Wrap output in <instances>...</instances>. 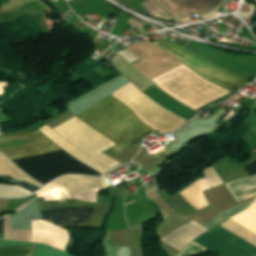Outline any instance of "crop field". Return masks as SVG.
<instances>
[{
    "label": "crop field",
    "instance_id": "12",
    "mask_svg": "<svg viewBox=\"0 0 256 256\" xmlns=\"http://www.w3.org/2000/svg\"><path fill=\"white\" fill-rule=\"evenodd\" d=\"M251 202L243 204L241 206L235 207L233 209L227 210L223 213H221L220 215H218L215 219H213L209 224H207L205 227H207L208 229L214 228L215 226H217L218 224H220L221 222H223L224 220H226L227 218L231 217L232 215L236 214L237 212L245 209L246 207L249 206Z\"/></svg>",
    "mask_w": 256,
    "mask_h": 256
},
{
    "label": "crop field",
    "instance_id": "21",
    "mask_svg": "<svg viewBox=\"0 0 256 256\" xmlns=\"http://www.w3.org/2000/svg\"><path fill=\"white\" fill-rule=\"evenodd\" d=\"M254 201H256V198H255V200Z\"/></svg>",
    "mask_w": 256,
    "mask_h": 256
},
{
    "label": "crop field",
    "instance_id": "6",
    "mask_svg": "<svg viewBox=\"0 0 256 256\" xmlns=\"http://www.w3.org/2000/svg\"><path fill=\"white\" fill-rule=\"evenodd\" d=\"M224 0H160L165 7L180 20H190L187 16L197 12L204 19L213 16L215 8Z\"/></svg>",
    "mask_w": 256,
    "mask_h": 256
},
{
    "label": "crop field",
    "instance_id": "3",
    "mask_svg": "<svg viewBox=\"0 0 256 256\" xmlns=\"http://www.w3.org/2000/svg\"><path fill=\"white\" fill-rule=\"evenodd\" d=\"M150 81L194 110L229 92L203 79L184 64Z\"/></svg>",
    "mask_w": 256,
    "mask_h": 256
},
{
    "label": "crop field",
    "instance_id": "18",
    "mask_svg": "<svg viewBox=\"0 0 256 256\" xmlns=\"http://www.w3.org/2000/svg\"><path fill=\"white\" fill-rule=\"evenodd\" d=\"M5 85V83H0V89L3 88Z\"/></svg>",
    "mask_w": 256,
    "mask_h": 256
},
{
    "label": "crop field",
    "instance_id": "1",
    "mask_svg": "<svg viewBox=\"0 0 256 256\" xmlns=\"http://www.w3.org/2000/svg\"><path fill=\"white\" fill-rule=\"evenodd\" d=\"M59 149L38 130L24 134L0 136V150L10 159ZM13 161L44 185L55 177L67 173L101 176L100 173L80 163L62 150L13 159Z\"/></svg>",
    "mask_w": 256,
    "mask_h": 256
},
{
    "label": "crop field",
    "instance_id": "13",
    "mask_svg": "<svg viewBox=\"0 0 256 256\" xmlns=\"http://www.w3.org/2000/svg\"><path fill=\"white\" fill-rule=\"evenodd\" d=\"M142 5L148 13L161 18L172 20L153 0H148L142 3Z\"/></svg>",
    "mask_w": 256,
    "mask_h": 256
},
{
    "label": "crop field",
    "instance_id": "17",
    "mask_svg": "<svg viewBox=\"0 0 256 256\" xmlns=\"http://www.w3.org/2000/svg\"><path fill=\"white\" fill-rule=\"evenodd\" d=\"M4 218L0 219V232H3Z\"/></svg>",
    "mask_w": 256,
    "mask_h": 256
},
{
    "label": "crop field",
    "instance_id": "7",
    "mask_svg": "<svg viewBox=\"0 0 256 256\" xmlns=\"http://www.w3.org/2000/svg\"><path fill=\"white\" fill-rule=\"evenodd\" d=\"M95 207H54L41 210V219L56 225L87 223Z\"/></svg>",
    "mask_w": 256,
    "mask_h": 256
},
{
    "label": "crop field",
    "instance_id": "4",
    "mask_svg": "<svg viewBox=\"0 0 256 256\" xmlns=\"http://www.w3.org/2000/svg\"><path fill=\"white\" fill-rule=\"evenodd\" d=\"M220 226L256 246V235L234 221L229 219ZM220 226L207 232L194 241L211 250L222 253L237 256H256V247Z\"/></svg>",
    "mask_w": 256,
    "mask_h": 256
},
{
    "label": "crop field",
    "instance_id": "20",
    "mask_svg": "<svg viewBox=\"0 0 256 256\" xmlns=\"http://www.w3.org/2000/svg\"><path fill=\"white\" fill-rule=\"evenodd\" d=\"M2 92H3V91H2V90H0V94H2Z\"/></svg>",
    "mask_w": 256,
    "mask_h": 256
},
{
    "label": "crop field",
    "instance_id": "9",
    "mask_svg": "<svg viewBox=\"0 0 256 256\" xmlns=\"http://www.w3.org/2000/svg\"><path fill=\"white\" fill-rule=\"evenodd\" d=\"M230 219L256 233V202L252 203L246 210L232 216Z\"/></svg>",
    "mask_w": 256,
    "mask_h": 256
},
{
    "label": "crop field",
    "instance_id": "5",
    "mask_svg": "<svg viewBox=\"0 0 256 256\" xmlns=\"http://www.w3.org/2000/svg\"><path fill=\"white\" fill-rule=\"evenodd\" d=\"M153 43L178 58L203 77L223 87H236L246 80L204 59L203 57L193 53L192 51L168 38L153 41Z\"/></svg>",
    "mask_w": 256,
    "mask_h": 256
},
{
    "label": "crop field",
    "instance_id": "10",
    "mask_svg": "<svg viewBox=\"0 0 256 256\" xmlns=\"http://www.w3.org/2000/svg\"><path fill=\"white\" fill-rule=\"evenodd\" d=\"M27 244H35V243L0 240V246L27 245ZM33 256H74V255L62 252L60 250L51 248L49 246L38 244Z\"/></svg>",
    "mask_w": 256,
    "mask_h": 256
},
{
    "label": "crop field",
    "instance_id": "8",
    "mask_svg": "<svg viewBox=\"0 0 256 256\" xmlns=\"http://www.w3.org/2000/svg\"><path fill=\"white\" fill-rule=\"evenodd\" d=\"M237 202L256 195V175L225 183Z\"/></svg>",
    "mask_w": 256,
    "mask_h": 256
},
{
    "label": "crop field",
    "instance_id": "11",
    "mask_svg": "<svg viewBox=\"0 0 256 256\" xmlns=\"http://www.w3.org/2000/svg\"><path fill=\"white\" fill-rule=\"evenodd\" d=\"M36 245L0 247V256H32Z\"/></svg>",
    "mask_w": 256,
    "mask_h": 256
},
{
    "label": "crop field",
    "instance_id": "14",
    "mask_svg": "<svg viewBox=\"0 0 256 256\" xmlns=\"http://www.w3.org/2000/svg\"><path fill=\"white\" fill-rule=\"evenodd\" d=\"M203 251H207V250L192 242L176 256H190V255L197 254V253H200Z\"/></svg>",
    "mask_w": 256,
    "mask_h": 256
},
{
    "label": "crop field",
    "instance_id": "16",
    "mask_svg": "<svg viewBox=\"0 0 256 256\" xmlns=\"http://www.w3.org/2000/svg\"><path fill=\"white\" fill-rule=\"evenodd\" d=\"M249 176L256 174V161L244 168Z\"/></svg>",
    "mask_w": 256,
    "mask_h": 256
},
{
    "label": "crop field",
    "instance_id": "15",
    "mask_svg": "<svg viewBox=\"0 0 256 256\" xmlns=\"http://www.w3.org/2000/svg\"><path fill=\"white\" fill-rule=\"evenodd\" d=\"M0 181L11 182L13 185H19V186H21V187H23V188H25V189H27L31 192H34L37 189H39V188H37V187H35L31 184H27V183L15 182V181H11V180H1V179H0Z\"/></svg>",
    "mask_w": 256,
    "mask_h": 256
},
{
    "label": "crop field",
    "instance_id": "19",
    "mask_svg": "<svg viewBox=\"0 0 256 256\" xmlns=\"http://www.w3.org/2000/svg\"><path fill=\"white\" fill-rule=\"evenodd\" d=\"M135 200H133V201H131V202H134ZM131 202H129V203H131ZM129 203H127V204H129ZM126 205V204H125Z\"/></svg>",
    "mask_w": 256,
    "mask_h": 256
},
{
    "label": "crop field",
    "instance_id": "2",
    "mask_svg": "<svg viewBox=\"0 0 256 256\" xmlns=\"http://www.w3.org/2000/svg\"><path fill=\"white\" fill-rule=\"evenodd\" d=\"M77 117L117 144L102 152L111 158L152 130L143 124L129 107L111 95Z\"/></svg>",
    "mask_w": 256,
    "mask_h": 256
}]
</instances>
